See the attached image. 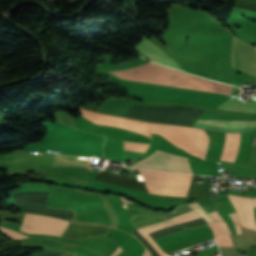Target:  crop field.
<instances>
[{
    "label": "crop field",
    "mask_w": 256,
    "mask_h": 256,
    "mask_svg": "<svg viewBox=\"0 0 256 256\" xmlns=\"http://www.w3.org/2000/svg\"><path fill=\"white\" fill-rule=\"evenodd\" d=\"M120 72L142 74V75L231 87V85L198 78L190 74L178 71L176 69L157 65L152 62L141 65V66H137L134 68L120 70ZM120 72L113 71L112 73L115 76L122 77V78L147 81V82H153V83H159V84H165V85H171V86H178V87H184V88H190V89H196V90H203V91H209V92H215V93H221V94H227V95H230V91H231V88H228V87L206 85V84L170 80V79H163V78H156V77H149V76H142V75H134V74H127V73H120Z\"/></svg>",
    "instance_id": "crop-field-1"
},
{
    "label": "crop field",
    "mask_w": 256,
    "mask_h": 256,
    "mask_svg": "<svg viewBox=\"0 0 256 256\" xmlns=\"http://www.w3.org/2000/svg\"><path fill=\"white\" fill-rule=\"evenodd\" d=\"M150 193L186 196L193 175L137 170Z\"/></svg>",
    "instance_id": "crop-field-2"
},
{
    "label": "crop field",
    "mask_w": 256,
    "mask_h": 256,
    "mask_svg": "<svg viewBox=\"0 0 256 256\" xmlns=\"http://www.w3.org/2000/svg\"><path fill=\"white\" fill-rule=\"evenodd\" d=\"M133 167L192 173L187 158L157 150L151 156L136 162Z\"/></svg>",
    "instance_id": "crop-field-3"
},
{
    "label": "crop field",
    "mask_w": 256,
    "mask_h": 256,
    "mask_svg": "<svg viewBox=\"0 0 256 256\" xmlns=\"http://www.w3.org/2000/svg\"><path fill=\"white\" fill-rule=\"evenodd\" d=\"M68 223L63 220L25 213L20 230L27 233L61 236Z\"/></svg>",
    "instance_id": "crop-field-4"
},
{
    "label": "crop field",
    "mask_w": 256,
    "mask_h": 256,
    "mask_svg": "<svg viewBox=\"0 0 256 256\" xmlns=\"http://www.w3.org/2000/svg\"><path fill=\"white\" fill-rule=\"evenodd\" d=\"M150 134L158 133L172 142L174 145L184 149L188 153L204 159L202 153L186 135L180 126H168L151 123H143Z\"/></svg>",
    "instance_id": "crop-field-5"
},
{
    "label": "crop field",
    "mask_w": 256,
    "mask_h": 256,
    "mask_svg": "<svg viewBox=\"0 0 256 256\" xmlns=\"http://www.w3.org/2000/svg\"><path fill=\"white\" fill-rule=\"evenodd\" d=\"M137 51L140 56L150 61H158L167 65H170L178 70L184 71L177 63H175L163 50L158 46L152 43L149 39L144 37L142 43L139 46H136ZM154 61V62H155ZM156 62V63H158ZM159 63V64H161ZM162 64V65H164ZM165 65V66H167ZM169 66V67H170Z\"/></svg>",
    "instance_id": "crop-field-6"
},
{
    "label": "crop field",
    "mask_w": 256,
    "mask_h": 256,
    "mask_svg": "<svg viewBox=\"0 0 256 256\" xmlns=\"http://www.w3.org/2000/svg\"><path fill=\"white\" fill-rule=\"evenodd\" d=\"M220 109L241 111L247 113H256V102H244L230 97L226 102H224Z\"/></svg>",
    "instance_id": "crop-field-7"
},
{
    "label": "crop field",
    "mask_w": 256,
    "mask_h": 256,
    "mask_svg": "<svg viewBox=\"0 0 256 256\" xmlns=\"http://www.w3.org/2000/svg\"><path fill=\"white\" fill-rule=\"evenodd\" d=\"M201 222H204V220L199 216L197 218H194V219H191V220H188V221H185V222H182V223H179V224H176V225H173V226H170V227H167V228H164V229H161V230L149 233V235L152 237V239H154V238H157V237H160V236H163V235H166V234L178 231L180 229H183V228H186V227H189V226L201 223ZM202 224H206V222L198 224V225H195V226H199V225H202ZM195 226H192V227H195ZM192 227H189V228H192ZM186 229H188V228H186ZM183 230H185V229H183Z\"/></svg>",
    "instance_id": "crop-field-8"
},
{
    "label": "crop field",
    "mask_w": 256,
    "mask_h": 256,
    "mask_svg": "<svg viewBox=\"0 0 256 256\" xmlns=\"http://www.w3.org/2000/svg\"><path fill=\"white\" fill-rule=\"evenodd\" d=\"M92 158H79L74 156L55 154L53 167L57 166H79L88 167Z\"/></svg>",
    "instance_id": "crop-field-9"
},
{
    "label": "crop field",
    "mask_w": 256,
    "mask_h": 256,
    "mask_svg": "<svg viewBox=\"0 0 256 256\" xmlns=\"http://www.w3.org/2000/svg\"><path fill=\"white\" fill-rule=\"evenodd\" d=\"M182 128L205 155V152L209 143V137L206 131L202 129H195V128H187V127H182Z\"/></svg>",
    "instance_id": "crop-field-10"
},
{
    "label": "crop field",
    "mask_w": 256,
    "mask_h": 256,
    "mask_svg": "<svg viewBox=\"0 0 256 256\" xmlns=\"http://www.w3.org/2000/svg\"><path fill=\"white\" fill-rule=\"evenodd\" d=\"M197 123L228 126V127L256 126V121L198 120Z\"/></svg>",
    "instance_id": "crop-field-11"
},
{
    "label": "crop field",
    "mask_w": 256,
    "mask_h": 256,
    "mask_svg": "<svg viewBox=\"0 0 256 256\" xmlns=\"http://www.w3.org/2000/svg\"><path fill=\"white\" fill-rule=\"evenodd\" d=\"M215 233L219 246H233L230 236H226L223 229L217 222L209 223Z\"/></svg>",
    "instance_id": "crop-field-12"
},
{
    "label": "crop field",
    "mask_w": 256,
    "mask_h": 256,
    "mask_svg": "<svg viewBox=\"0 0 256 256\" xmlns=\"http://www.w3.org/2000/svg\"><path fill=\"white\" fill-rule=\"evenodd\" d=\"M238 199L240 200L241 205L244 208L245 214L247 216L248 220V226L250 228L256 229V224H255V219H254V214H253V209H252V203H251V198H243L237 196Z\"/></svg>",
    "instance_id": "crop-field-13"
},
{
    "label": "crop field",
    "mask_w": 256,
    "mask_h": 256,
    "mask_svg": "<svg viewBox=\"0 0 256 256\" xmlns=\"http://www.w3.org/2000/svg\"><path fill=\"white\" fill-rule=\"evenodd\" d=\"M228 197L230 198L238 216H239V219H240V222L243 226H246L247 227V221H246V217L244 215V211H243V208L241 207L237 197L235 196H230L228 195Z\"/></svg>",
    "instance_id": "crop-field-14"
},
{
    "label": "crop field",
    "mask_w": 256,
    "mask_h": 256,
    "mask_svg": "<svg viewBox=\"0 0 256 256\" xmlns=\"http://www.w3.org/2000/svg\"><path fill=\"white\" fill-rule=\"evenodd\" d=\"M54 118L56 119V121L64 122L66 124H69V125L77 128L73 117H71L68 113L61 112V111H56L54 113Z\"/></svg>",
    "instance_id": "crop-field-15"
},
{
    "label": "crop field",
    "mask_w": 256,
    "mask_h": 256,
    "mask_svg": "<svg viewBox=\"0 0 256 256\" xmlns=\"http://www.w3.org/2000/svg\"><path fill=\"white\" fill-rule=\"evenodd\" d=\"M149 144L124 141L125 150L144 152Z\"/></svg>",
    "instance_id": "crop-field-16"
},
{
    "label": "crop field",
    "mask_w": 256,
    "mask_h": 256,
    "mask_svg": "<svg viewBox=\"0 0 256 256\" xmlns=\"http://www.w3.org/2000/svg\"><path fill=\"white\" fill-rule=\"evenodd\" d=\"M156 250L157 252L160 254V256H170L166 253H164L149 237V235L141 228L139 230H137Z\"/></svg>",
    "instance_id": "crop-field-17"
},
{
    "label": "crop field",
    "mask_w": 256,
    "mask_h": 256,
    "mask_svg": "<svg viewBox=\"0 0 256 256\" xmlns=\"http://www.w3.org/2000/svg\"><path fill=\"white\" fill-rule=\"evenodd\" d=\"M188 206H190L191 208H193L194 210H196L197 212H199L207 221V223L214 221L203 209L202 207L197 203H191V204H187Z\"/></svg>",
    "instance_id": "crop-field-18"
},
{
    "label": "crop field",
    "mask_w": 256,
    "mask_h": 256,
    "mask_svg": "<svg viewBox=\"0 0 256 256\" xmlns=\"http://www.w3.org/2000/svg\"><path fill=\"white\" fill-rule=\"evenodd\" d=\"M0 230H1L4 234L8 235V236L11 237V238H25V237H27V236H25V235H23V234H21V233H19V232H17V231L10 230V229H7V228L1 227Z\"/></svg>",
    "instance_id": "crop-field-19"
},
{
    "label": "crop field",
    "mask_w": 256,
    "mask_h": 256,
    "mask_svg": "<svg viewBox=\"0 0 256 256\" xmlns=\"http://www.w3.org/2000/svg\"><path fill=\"white\" fill-rule=\"evenodd\" d=\"M133 233L137 238H139L142 241L143 245L151 252L153 256H159V254L151 247V245L137 231H134Z\"/></svg>",
    "instance_id": "crop-field-20"
},
{
    "label": "crop field",
    "mask_w": 256,
    "mask_h": 256,
    "mask_svg": "<svg viewBox=\"0 0 256 256\" xmlns=\"http://www.w3.org/2000/svg\"><path fill=\"white\" fill-rule=\"evenodd\" d=\"M215 220H222L223 221V219H222V217L216 212V211H214V212H211V213H209Z\"/></svg>",
    "instance_id": "crop-field-21"
},
{
    "label": "crop field",
    "mask_w": 256,
    "mask_h": 256,
    "mask_svg": "<svg viewBox=\"0 0 256 256\" xmlns=\"http://www.w3.org/2000/svg\"><path fill=\"white\" fill-rule=\"evenodd\" d=\"M218 223L222 226V228L224 229L226 235L231 234L229 228L226 225V223H223V222H218Z\"/></svg>",
    "instance_id": "crop-field-22"
},
{
    "label": "crop field",
    "mask_w": 256,
    "mask_h": 256,
    "mask_svg": "<svg viewBox=\"0 0 256 256\" xmlns=\"http://www.w3.org/2000/svg\"><path fill=\"white\" fill-rule=\"evenodd\" d=\"M1 163H22L20 159H15V160H9V161H0Z\"/></svg>",
    "instance_id": "crop-field-23"
},
{
    "label": "crop field",
    "mask_w": 256,
    "mask_h": 256,
    "mask_svg": "<svg viewBox=\"0 0 256 256\" xmlns=\"http://www.w3.org/2000/svg\"><path fill=\"white\" fill-rule=\"evenodd\" d=\"M122 252L120 246L118 247L117 251L112 255V256H117L118 254H120Z\"/></svg>",
    "instance_id": "crop-field-24"
},
{
    "label": "crop field",
    "mask_w": 256,
    "mask_h": 256,
    "mask_svg": "<svg viewBox=\"0 0 256 256\" xmlns=\"http://www.w3.org/2000/svg\"><path fill=\"white\" fill-rule=\"evenodd\" d=\"M207 226H209V225L206 224V225H202V226H199V227H196V228H192V231L197 230V229H201V228H204V227H207Z\"/></svg>",
    "instance_id": "crop-field-25"
},
{
    "label": "crop field",
    "mask_w": 256,
    "mask_h": 256,
    "mask_svg": "<svg viewBox=\"0 0 256 256\" xmlns=\"http://www.w3.org/2000/svg\"><path fill=\"white\" fill-rule=\"evenodd\" d=\"M149 255H150L149 252L145 250L142 256H149Z\"/></svg>",
    "instance_id": "crop-field-26"
},
{
    "label": "crop field",
    "mask_w": 256,
    "mask_h": 256,
    "mask_svg": "<svg viewBox=\"0 0 256 256\" xmlns=\"http://www.w3.org/2000/svg\"><path fill=\"white\" fill-rule=\"evenodd\" d=\"M254 207L256 206V197L252 198Z\"/></svg>",
    "instance_id": "crop-field-27"
},
{
    "label": "crop field",
    "mask_w": 256,
    "mask_h": 256,
    "mask_svg": "<svg viewBox=\"0 0 256 256\" xmlns=\"http://www.w3.org/2000/svg\"><path fill=\"white\" fill-rule=\"evenodd\" d=\"M230 216L232 217L233 222H234V223H236L235 218H234V216H233V214H232V213H230ZM236 224H237V223H236Z\"/></svg>",
    "instance_id": "crop-field-28"
}]
</instances>
